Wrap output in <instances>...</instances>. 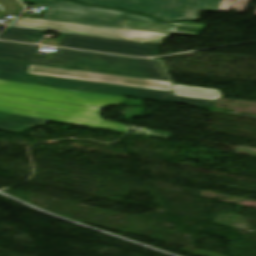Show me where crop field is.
<instances>
[{"mask_svg":"<svg viewBox=\"0 0 256 256\" xmlns=\"http://www.w3.org/2000/svg\"><path fill=\"white\" fill-rule=\"evenodd\" d=\"M39 46L0 42V60L169 81L160 62L58 49L54 59L34 57Z\"/></svg>","mask_w":256,"mask_h":256,"instance_id":"crop-field-1","label":"crop field"},{"mask_svg":"<svg viewBox=\"0 0 256 256\" xmlns=\"http://www.w3.org/2000/svg\"><path fill=\"white\" fill-rule=\"evenodd\" d=\"M12 27L161 45L171 34L197 37L201 29L125 20L121 29L19 17Z\"/></svg>","mask_w":256,"mask_h":256,"instance_id":"crop-field-2","label":"crop field"},{"mask_svg":"<svg viewBox=\"0 0 256 256\" xmlns=\"http://www.w3.org/2000/svg\"><path fill=\"white\" fill-rule=\"evenodd\" d=\"M0 111L125 133L124 124L107 122L99 109L0 94Z\"/></svg>","mask_w":256,"mask_h":256,"instance_id":"crop-field-3","label":"crop field"},{"mask_svg":"<svg viewBox=\"0 0 256 256\" xmlns=\"http://www.w3.org/2000/svg\"><path fill=\"white\" fill-rule=\"evenodd\" d=\"M28 3L46 7L42 19L65 21L87 25L120 28L124 19L204 29L206 25L195 23H163L151 16L126 12L120 9L93 7L66 0H29Z\"/></svg>","mask_w":256,"mask_h":256,"instance_id":"crop-field-4","label":"crop field"},{"mask_svg":"<svg viewBox=\"0 0 256 256\" xmlns=\"http://www.w3.org/2000/svg\"><path fill=\"white\" fill-rule=\"evenodd\" d=\"M156 15L164 21L198 19L199 11L217 12L221 0H77Z\"/></svg>","mask_w":256,"mask_h":256,"instance_id":"crop-field-5","label":"crop field"},{"mask_svg":"<svg viewBox=\"0 0 256 256\" xmlns=\"http://www.w3.org/2000/svg\"><path fill=\"white\" fill-rule=\"evenodd\" d=\"M0 93L94 108L119 105L125 97L0 80Z\"/></svg>","mask_w":256,"mask_h":256,"instance_id":"crop-field-6","label":"crop field"},{"mask_svg":"<svg viewBox=\"0 0 256 256\" xmlns=\"http://www.w3.org/2000/svg\"><path fill=\"white\" fill-rule=\"evenodd\" d=\"M33 77L48 86L78 89V90L122 95V96H130V97H136V98H143V99H150V100H156V101H163V102H170V103L198 106V107H206V108H211L215 103L214 101L174 97V93H168V92L135 89V88L116 86V85L79 82V81H71V80L48 78V77H39V76H33Z\"/></svg>","mask_w":256,"mask_h":256,"instance_id":"crop-field-7","label":"crop field"},{"mask_svg":"<svg viewBox=\"0 0 256 256\" xmlns=\"http://www.w3.org/2000/svg\"><path fill=\"white\" fill-rule=\"evenodd\" d=\"M27 74L171 92L169 82L29 65Z\"/></svg>","mask_w":256,"mask_h":256,"instance_id":"crop-field-8","label":"crop field"},{"mask_svg":"<svg viewBox=\"0 0 256 256\" xmlns=\"http://www.w3.org/2000/svg\"><path fill=\"white\" fill-rule=\"evenodd\" d=\"M61 47L128 55L158 56L160 46L67 34Z\"/></svg>","mask_w":256,"mask_h":256,"instance_id":"crop-field-9","label":"crop field"},{"mask_svg":"<svg viewBox=\"0 0 256 256\" xmlns=\"http://www.w3.org/2000/svg\"><path fill=\"white\" fill-rule=\"evenodd\" d=\"M46 120L23 117L0 112V129L20 132L33 126H44Z\"/></svg>","mask_w":256,"mask_h":256,"instance_id":"crop-field-10","label":"crop field"},{"mask_svg":"<svg viewBox=\"0 0 256 256\" xmlns=\"http://www.w3.org/2000/svg\"><path fill=\"white\" fill-rule=\"evenodd\" d=\"M27 65L21 63L0 61V79L41 85L25 75ZM43 86V85H42Z\"/></svg>","mask_w":256,"mask_h":256,"instance_id":"crop-field-11","label":"crop field"},{"mask_svg":"<svg viewBox=\"0 0 256 256\" xmlns=\"http://www.w3.org/2000/svg\"><path fill=\"white\" fill-rule=\"evenodd\" d=\"M175 96L213 100L221 97L217 90L173 84Z\"/></svg>","mask_w":256,"mask_h":256,"instance_id":"crop-field-12","label":"crop field"},{"mask_svg":"<svg viewBox=\"0 0 256 256\" xmlns=\"http://www.w3.org/2000/svg\"><path fill=\"white\" fill-rule=\"evenodd\" d=\"M44 34L43 31L8 27L0 34V39L38 43Z\"/></svg>","mask_w":256,"mask_h":256,"instance_id":"crop-field-13","label":"crop field"},{"mask_svg":"<svg viewBox=\"0 0 256 256\" xmlns=\"http://www.w3.org/2000/svg\"><path fill=\"white\" fill-rule=\"evenodd\" d=\"M24 7L17 0H0V16L21 13Z\"/></svg>","mask_w":256,"mask_h":256,"instance_id":"crop-field-14","label":"crop field"},{"mask_svg":"<svg viewBox=\"0 0 256 256\" xmlns=\"http://www.w3.org/2000/svg\"><path fill=\"white\" fill-rule=\"evenodd\" d=\"M240 1H241V0H236L235 3H234V6H233V8H232V9H235L236 12H238V13L244 12V10H245V8H246V5H247V3H248V0H244V1H243V4H242V7H241V9H240V8H238V6H239V4H240ZM225 2H226V0H222V3H221V5H220L218 11L229 12V9H230V7H231V4H232L233 0H228L226 6H225V8H224V10H222V8H223Z\"/></svg>","mask_w":256,"mask_h":256,"instance_id":"crop-field-15","label":"crop field"},{"mask_svg":"<svg viewBox=\"0 0 256 256\" xmlns=\"http://www.w3.org/2000/svg\"><path fill=\"white\" fill-rule=\"evenodd\" d=\"M254 15H256V12H255V14Z\"/></svg>","mask_w":256,"mask_h":256,"instance_id":"crop-field-16","label":"crop field"}]
</instances>
